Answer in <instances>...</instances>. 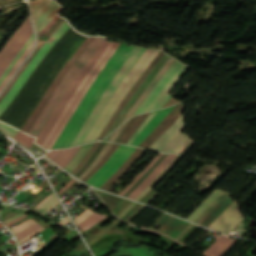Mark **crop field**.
I'll return each mask as SVG.
<instances>
[{
  "mask_svg": "<svg viewBox=\"0 0 256 256\" xmlns=\"http://www.w3.org/2000/svg\"><path fill=\"white\" fill-rule=\"evenodd\" d=\"M112 42L106 41L105 38L93 53L55 107L35 143L46 149H51L87 89L118 47V44Z\"/></svg>",
  "mask_w": 256,
  "mask_h": 256,
  "instance_id": "8a807250",
  "label": "crop field"
},
{
  "mask_svg": "<svg viewBox=\"0 0 256 256\" xmlns=\"http://www.w3.org/2000/svg\"><path fill=\"white\" fill-rule=\"evenodd\" d=\"M103 39V37L99 36L86 38L54 79L30 117L21 127V130L37 137L49 115L74 77Z\"/></svg>",
  "mask_w": 256,
  "mask_h": 256,
  "instance_id": "ac0d7876",
  "label": "crop field"
},
{
  "mask_svg": "<svg viewBox=\"0 0 256 256\" xmlns=\"http://www.w3.org/2000/svg\"><path fill=\"white\" fill-rule=\"evenodd\" d=\"M160 51L147 49L119 88L116 90L112 98L107 103L106 107L104 108L103 112L99 116L95 126L87 135L84 143L93 142L97 140L99 134L102 132L104 127L106 126L107 122L111 118L112 114L116 110L119 103L122 101L124 96L133 86V84L137 81L143 71L147 68V66L152 62V60L157 56Z\"/></svg>",
  "mask_w": 256,
  "mask_h": 256,
  "instance_id": "34b2d1b8",
  "label": "crop field"
},
{
  "mask_svg": "<svg viewBox=\"0 0 256 256\" xmlns=\"http://www.w3.org/2000/svg\"><path fill=\"white\" fill-rule=\"evenodd\" d=\"M127 47L128 46L126 44H121L120 47L116 50V52L113 54V56L110 58V60L107 62V64L104 66V68L101 70V72L99 73L95 81L92 83L90 88L88 89L85 97L81 101L80 105L74 112L73 116L71 117L67 125L64 127L61 135L59 136V138L57 139L56 143L52 148H63L73 128L78 123L80 117L82 116V114L90 104L91 100L99 90L105 78L115 67V65L117 64L118 60L120 59L124 51L127 49Z\"/></svg>",
  "mask_w": 256,
  "mask_h": 256,
  "instance_id": "412701ff",
  "label": "crop field"
},
{
  "mask_svg": "<svg viewBox=\"0 0 256 256\" xmlns=\"http://www.w3.org/2000/svg\"><path fill=\"white\" fill-rule=\"evenodd\" d=\"M146 49L143 48H135V50L132 52L130 57L127 59L125 64L122 66L120 71L117 73L115 78L112 80V82L107 87L106 91L102 95L101 99L97 103L96 107L94 108L93 112L87 119L86 123L78 133L77 137L75 138L74 142L72 143V146L82 144L83 140L85 139L88 132L91 130V128L94 126L98 116L102 112L103 108L105 107L106 103L110 99V97L113 95L115 90L118 88V86L121 84L123 79L126 77V75L130 72V70L133 68V66L136 64V62L139 60V58L142 56V54L145 52Z\"/></svg>",
  "mask_w": 256,
  "mask_h": 256,
  "instance_id": "f4fd0767",
  "label": "crop field"
},
{
  "mask_svg": "<svg viewBox=\"0 0 256 256\" xmlns=\"http://www.w3.org/2000/svg\"><path fill=\"white\" fill-rule=\"evenodd\" d=\"M71 27V26H70ZM66 20L63 24L56 30V32L48 39V41L41 47L40 51L31 60L29 65L26 67L24 72L6 94L4 99L0 102V115L6 110L12 100L15 98L19 90L25 84L27 79L30 77L35 68L40 64L44 57L49 53V51L54 47V45L60 40V38L66 33L70 28Z\"/></svg>",
  "mask_w": 256,
  "mask_h": 256,
  "instance_id": "dd49c442",
  "label": "crop field"
},
{
  "mask_svg": "<svg viewBox=\"0 0 256 256\" xmlns=\"http://www.w3.org/2000/svg\"><path fill=\"white\" fill-rule=\"evenodd\" d=\"M184 67L185 65L176 60V62L168 69L158 84L154 87L142 105L138 108L135 114L161 108L170 97V95L166 93L184 73L181 71Z\"/></svg>",
  "mask_w": 256,
  "mask_h": 256,
  "instance_id": "e52e79f7",
  "label": "crop field"
},
{
  "mask_svg": "<svg viewBox=\"0 0 256 256\" xmlns=\"http://www.w3.org/2000/svg\"><path fill=\"white\" fill-rule=\"evenodd\" d=\"M33 33L30 18L15 32L6 46L0 52V75L24 46Z\"/></svg>",
  "mask_w": 256,
  "mask_h": 256,
  "instance_id": "d8731c3e",
  "label": "crop field"
},
{
  "mask_svg": "<svg viewBox=\"0 0 256 256\" xmlns=\"http://www.w3.org/2000/svg\"><path fill=\"white\" fill-rule=\"evenodd\" d=\"M242 219L239 207L234 202L208 228L228 235Z\"/></svg>",
  "mask_w": 256,
  "mask_h": 256,
  "instance_id": "5a996713",
  "label": "crop field"
},
{
  "mask_svg": "<svg viewBox=\"0 0 256 256\" xmlns=\"http://www.w3.org/2000/svg\"><path fill=\"white\" fill-rule=\"evenodd\" d=\"M134 49V47L129 46V48L126 50V52L124 53L123 57L121 58V60L119 61V63L116 65V67L114 68V70L112 71V73L109 75V77L107 78V80L105 81V83L102 85V87L100 88V90L98 91V93L96 94V96L94 97L93 101L91 102V104L89 105V107L87 108V110L85 111L84 115L82 116V118L80 119L79 123L77 124V126L75 127L74 131L72 132L70 138L68 139L67 143L65 144L64 148L66 147H70L74 137L76 136V134L79 132V130L81 129L82 125L84 124V122L86 121L87 117L89 116L90 112L92 111L93 107L95 106V104L98 102L99 98L101 97V95L103 94L104 90L106 89V87L108 86V84L110 83V81L112 80V78L114 77V75L117 73V71L119 70V68L122 66V64L124 63V61L126 60V58L129 56V54L131 53V51Z\"/></svg>",
  "mask_w": 256,
  "mask_h": 256,
  "instance_id": "3316defc",
  "label": "crop field"
},
{
  "mask_svg": "<svg viewBox=\"0 0 256 256\" xmlns=\"http://www.w3.org/2000/svg\"><path fill=\"white\" fill-rule=\"evenodd\" d=\"M162 51L159 53V55L153 60V62L148 66V68L145 70V72L142 74V76L139 78V80L136 82L134 87L131 89V91L128 93V95L124 98V100L121 102V104L118 106L116 112L114 113L113 117L111 118L109 124L106 126V128L103 130L101 136L98 138L102 139L104 138L105 134L117 118V116L120 114V112L123 110L127 102L130 100V98L133 96V94L136 92V90L139 88V86L144 82V80L147 78V76L150 74L152 69L154 68L155 64L160 60V58L164 55Z\"/></svg>",
  "mask_w": 256,
  "mask_h": 256,
  "instance_id": "28ad6ade",
  "label": "crop field"
},
{
  "mask_svg": "<svg viewBox=\"0 0 256 256\" xmlns=\"http://www.w3.org/2000/svg\"><path fill=\"white\" fill-rule=\"evenodd\" d=\"M185 104L179 103L173 111L153 130L149 136L142 142L141 147L148 148L181 114Z\"/></svg>",
  "mask_w": 256,
  "mask_h": 256,
  "instance_id": "d1516ede",
  "label": "crop field"
},
{
  "mask_svg": "<svg viewBox=\"0 0 256 256\" xmlns=\"http://www.w3.org/2000/svg\"><path fill=\"white\" fill-rule=\"evenodd\" d=\"M186 125L181 115L150 147L154 151H161Z\"/></svg>",
  "mask_w": 256,
  "mask_h": 256,
  "instance_id": "22f410ed",
  "label": "crop field"
},
{
  "mask_svg": "<svg viewBox=\"0 0 256 256\" xmlns=\"http://www.w3.org/2000/svg\"><path fill=\"white\" fill-rule=\"evenodd\" d=\"M170 58V56L166 55L162 58V60L156 65V67L153 69V71L151 72V74L148 76V78L146 79V81L143 83V85L138 89V91L134 94V96L132 97V99L129 101V103L127 104V106L124 108V110L122 111V113L119 115V117L117 118V120L115 121V123L112 125V127L110 128V130L108 131L107 135L116 127H118L121 119L123 118V116L125 115V113L128 111V109L133 105V103L138 99V97L141 95V93L144 91V89L146 88V86L149 84V82L152 80V78L155 76V74L160 70V68L167 62V60ZM157 75V74H156ZM154 79V78H153ZM106 135V136H107Z\"/></svg>",
  "mask_w": 256,
  "mask_h": 256,
  "instance_id": "cbeb9de0",
  "label": "crop field"
},
{
  "mask_svg": "<svg viewBox=\"0 0 256 256\" xmlns=\"http://www.w3.org/2000/svg\"><path fill=\"white\" fill-rule=\"evenodd\" d=\"M175 105L160 110L148 123L147 125L141 130L135 140L132 142V145L139 146L140 143L146 138V136L156 128L160 122L170 113Z\"/></svg>",
  "mask_w": 256,
  "mask_h": 256,
  "instance_id": "5142ce71",
  "label": "crop field"
},
{
  "mask_svg": "<svg viewBox=\"0 0 256 256\" xmlns=\"http://www.w3.org/2000/svg\"><path fill=\"white\" fill-rule=\"evenodd\" d=\"M174 61H175V59H173L171 57L168 60V62L161 68V70L157 73V75L154 77V79L151 81V83L145 89V91L140 96V98L136 101V103L133 105V107L130 109V111L127 113V115L124 117L122 122H124L127 118H129L133 115V113L136 111V109L141 105V103L144 101V99L147 97V95L150 93V91L153 89V87L156 85V83L159 81V79L162 77V75L174 63Z\"/></svg>",
  "mask_w": 256,
  "mask_h": 256,
  "instance_id": "d9b57169",
  "label": "crop field"
},
{
  "mask_svg": "<svg viewBox=\"0 0 256 256\" xmlns=\"http://www.w3.org/2000/svg\"><path fill=\"white\" fill-rule=\"evenodd\" d=\"M225 194L223 198L198 222L207 227L212 221H214L233 201Z\"/></svg>",
  "mask_w": 256,
  "mask_h": 256,
  "instance_id": "733c2abd",
  "label": "crop field"
},
{
  "mask_svg": "<svg viewBox=\"0 0 256 256\" xmlns=\"http://www.w3.org/2000/svg\"><path fill=\"white\" fill-rule=\"evenodd\" d=\"M144 151V149L137 148L124 165L107 182H105L100 189L107 191L133 165Z\"/></svg>",
  "mask_w": 256,
  "mask_h": 256,
  "instance_id": "4a817a6b",
  "label": "crop field"
},
{
  "mask_svg": "<svg viewBox=\"0 0 256 256\" xmlns=\"http://www.w3.org/2000/svg\"><path fill=\"white\" fill-rule=\"evenodd\" d=\"M149 113H145V114H142V115H138V116L132 117L131 120L126 125V127L121 132V134L119 135V137L116 139V142H120V143L126 144L127 141L133 135V133L136 131V129L139 127V125L149 115Z\"/></svg>",
  "mask_w": 256,
  "mask_h": 256,
  "instance_id": "bc2a9ffb",
  "label": "crop field"
},
{
  "mask_svg": "<svg viewBox=\"0 0 256 256\" xmlns=\"http://www.w3.org/2000/svg\"><path fill=\"white\" fill-rule=\"evenodd\" d=\"M135 149V147L128 146L121 157L92 186L99 188L129 158Z\"/></svg>",
  "mask_w": 256,
  "mask_h": 256,
  "instance_id": "214f88e0",
  "label": "crop field"
},
{
  "mask_svg": "<svg viewBox=\"0 0 256 256\" xmlns=\"http://www.w3.org/2000/svg\"><path fill=\"white\" fill-rule=\"evenodd\" d=\"M79 148L80 146L71 149L51 150L46 154V157H48L63 168L70 161V159L74 156Z\"/></svg>",
  "mask_w": 256,
  "mask_h": 256,
  "instance_id": "92a150f3",
  "label": "crop field"
},
{
  "mask_svg": "<svg viewBox=\"0 0 256 256\" xmlns=\"http://www.w3.org/2000/svg\"><path fill=\"white\" fill-rule=\"evenodd\" d=\"M234 241V239H229L221 235L210 247H208L201 254L204 256H220L233 244Z\"/></svg>",
  "mask_w": 256,
  "mask_h": 256,
  "instance_id": "dafd665d",
  "label": "crop field"
},
{
  "mask_svg": "<svg viewBox=\"0 0 256 256\" xmlns=\"http://www.w3.org/2000/svg\"><path fill=\"white\" fill-rule=\"evenodd\" d=\"M181 221L182 219L165 213L155 224L150 227V229L162 231L168 235L170 231ZM154 227H159L160 229H155Z\"/></svg>",
  "mask_w": 256,
  "mask_h": 256,
  "instance_id": "00972430",
  "label": "crop field"
},
{
  "mask_svg": "<svg viewBox=\"0 0 256 256\" xmlns=\"http://www.w3.org/2000/svg\"><path fill=\"white\" fill-rule=\"evenodd\" d=\"M127 148L126 145L120 144V146L117 148V150L114 152V154L111 156V158L97 171L95 172L87 181L86 183L92 184L95 180H97L118 158L119 156L124 152V150Z\"/></svg>",
  "mask_w": 256,
  "mask_h": 256,
  "instance_id": "a9b5d70f",
  "label": "crop field"
},
{
  "mask_svg": "<svg viewBox=\"0 0 256 256\" xmlns=\"http://www.w3.org/2000/svg\"><path fill=\"white\" fill-rule=\"evenodd\" d=\"M92 145L93 143L81 146V148L72 158V160L64 167V169L71 173L76 168V166L81 162V160L85 157L86 153Z\"/></svg>",
  "mask_w": 256,
  "mask_h": 256,
  "instance_id": "4177f3b9",
  "label": "crop field"
},
{
  "mask_svg": "<svg viewBox=\"0 0 256 256\" xmlns=\"http://www.w3.org/2000/svg\"><path fill=\"white\" fill-rule=\"evenodd\" d=\"M188 138L189 136L180 132L162 151L175 153Z\"/></svg>",
  "mask_w": 256,
  "mask_h": 256,
  "instance_id": "730fd06b",
  "label": "crop field"
},
{
  "mask_svg": "<svg viewBox=\"0 0 256 256\" xmlns=\"http://www.w3.org/2000/svg\"><path fill=\"white\" fill-rule=\"evenodd\" d=\"M222 191H213L205 201L187 218V220L193 221Z\"/></svg>",
  "mask_w": 256,
  "mask_h": 256,
  "instance_id": "eef30255",
  "label": "crop field"
},
{
  "mask_svg": "<svg viewBox=\"0 0 256 256\" xmlns=\"http://www.w3.org/2000/svg\"><path fill=\"white\" fill-rule=\"evenodd\" d=\"M107 215H102L99 213L94 212L89 218L83 221L81 224L78 225L79 228L82 230H87L88 228L92 227L102 219H104Z\"/></svg>",
  "mask_w": 256,
  "mask_h": 256,
  "instance_id": "ae1a2a85",
  "label": "crop field"
},
{
  "mask_svg": "<svg viewBox=\"0 0 256 256\" xmlns=\"http://www.w3.org/2000/svg\"><path fill=\"white\" fill-rule=\"evenodd\" d=\"M181 156L182 155H178L136 200L139 201L172 168Z\"/></svg>",
  "mask_w": 256,
  "mask_h": 256,
  "instance_id": "d3111659",
  "label": "crop field"
},
{
  "mask_svg": "<svg viewBox=\"0 0 256 256\" xmlns=\"http://www.w3.org/2000/svg\"><path fill=\"white\" fill-rule=\"evenodd\" d=\"M101 197L112 211L124 200L123 198L109 194L107 192H105Z\"/></svg>",
  "mask_w": 256,
  "mask_h": 256,
  "instance_id": "750c4746",
  "label": "crop field"
},
{
  "mask_svg": "<svg viewBox=\"0 0 256 256\" xmlns=\"http://www.w3.org/2000/svg\"><path fill=\"white\" fill-rule=\"evenodd\" d=\"M57 6L58 4L55 1L51 2L35 20L36 27H38L55 10Z\"/></svg>",
  "mask_w": 256,
  "mask_h": 256,
  "instance_id": "bd1437ed",
  "label": "crop field"
},
{
  "mask_svg": "<svg viewBox=\"0 0 256 256\" xmlns=\"http://www.w3.org/2000/svg\"><path fill=\"white\" fill-rule=\"evenodd\" d=\"M34 44V40L31 42V44L29 45V47L26 49L25 53L23 54V56L20 58V60L16 63V65L14 66V68L11 70V72L9 73V75L6 77V79L3 81V83L0 85V91H2L3 87L5 86V84L9 81V79L12 77L13 73L17 70V68L21 65V63L24 61V59L27 57V55L29 54V52L31 51L32 47Z\"/></svg>",
  "mask_w": 256,
  "mask_h": 256,
  "instance_id": "1d83c4d3",
  "label": "crop field"
},
{
  "mask_svg": "<svg viewBox=\"0 0 256 256\" xmlns=\"http://www.w3.org/2000/svg\"><path fill=\"white\" fill-rule=\"evenodd\" d=\"M119 144L113 143V145L110 147V149L107 151V153L104 155V157L99 161V163L95 166V168L82 180L86 181L96 170H98L101 165L109 159V157L112 155V153L115 151V149L118 147Z\"/></svg>",
  "mask_w": 256,
  "mask_h": 256,
  "instance_id": "120bbe31",
  "label": "crop field"
},
{
  "mask_svg": "<svg viewBox=\"0 0 256 256\" xmlns=\"http://www.w3.org/2000/svg\"><path fill=\"white\" fill-rule=\"evenodd\" d=\"M34 35H32L30 37V39L28 40V42L25 44V46L22 48V50L18 53V55L14 58V60L10 63V65L7 67V69L5 70V72L2 74V76L0 77V84L1 82L4 80V78L7 76V74L10 72V70L12 69V67L15 65V63L18 61V59L22 56L23 52L25 51V49L27 48V46L30 44V42L33 40Z\"/></svg>",
  "mask_w": 256,
  "mask_h": 256,
  "instance_id": "d32e631a",
  "label": "crop field"
},
{
  "mask_svg": "<svg viewBox=\"0 0 256 256\" xmlns=\"http://www.w3.org/2000/svg\"><path fill=\"white\" fill-rule=\"evenodd\" d=\"M163 153H159L154 160L120 193V195H124L148 170L149 168L159 159V157Z\"/></svg>",
  "mask_w": 256,
  "mask_h": 256,
  "instance_id": "5866460e",
  "label": "crop field"
},
{
  "mask_svg": "<svg viewBox=\"0 0 256 256\" xmlns=\"http://www.w3.org/2000/svg\"><path fill=\"white\" fill-rule=\"evenodd\" d=\"M45 43V41L40 40L38 42L37 48L34 51V53L31 55V57L28 59V61L25 63V65L23 66V68L20 70V72L17 74V76L14 78V80L10 83V85L6 88V90L3 92V94L0 96V101L1 99L4 97V95L8 92V90L11 88V86L13 85V83L16 81V79L19 77V75L22 73V71L25 69V67L27 66V64L30 62V60L34 57V55L39 51L40 47Z\"/></svg>",
  "mask_w": 256,
  "mask_h": 256,
  "instance_id": "028f5c9d",
  "label": "crop field"
},
{
  "mask_svg": "<svg viewBox=\"0 0 256 256\" xmlns=\"http://www.w3.org/2000/svg\"><path fill=\"white\" fill-rule=\"evenodd\" d=\"M171 156L172 155L169 154L128 197L131 198L138 190H140Z\"/></svg>",
  "mask_w": 256,
  "mask_h": 256,
  "instance_id": "e1f06a70",
  "label": "crop field"
},
{
  "mask_svg": "<svg viewBox=\"0 0 256 256\" xmlns=\"http://www.w3.org/2000/svg\"><path fill=\"white\" fill-rule=\"evenodd\" d=\"M112 143L107 142L105 147L102 149L98 157L95 159V161L90 165V167L79 177V179H83L92 169L93 167L97 164V162L102 158V156L106 153V151L109 149Z\"/></svg>",
  "mask_w": 256,
  "mask_h": 256,
  "instance_id": "0bd39190",
  "label": "crop field"
},
{
  "mask_svg": "<svg viewBox=\"0 0 256 256\" xmlns=\"http://www.w3.org/2000/svg\"><path fill=\"white\" fill-rule=\"evenodd\" d=\"M106 142H101V144L99 145V147L97 148V150L95 151V153L93 154V156L90 158V160L86 163V165L78 172L76 173L74 176H76L77 178L88 168V166L93 162V160L97 157V155L99 154V152L101 151V149L103 148V146L105 145Z\"/></svg>",
  "mask_w": 256,
  "mask_h": 256,
  "instance_id": "b80d0937",
  "label": "crop field"
},
{
  "mask_svg": "<svg viewBox=\"0 0 256 256\" xmlns=\"http://www.w3.org/2000/svg\"><path fill=\"white\" fill-rule=\"evenodd\" d=\"M167 155V153H164L154 166L124 196L127 197Z\"/></svg>",
  "mask_w": 256,
  "mask_h": 256,
  "instance_id": "c035e120",
  "label": "crop field"
},
{
  "mask_svg": "<svg viewBox=\"0 0 256 256\" xmlns=\"http://www.w3.org/2000/svg\"><path fill=\"white\" fill-rule=\"evenodd\" d=\"M177 155H173L167 162L166 164L149 180V182L139 191L137 192L132 199H136L140 193L160 174V172L176 157Z\"/></svg>",
  "mask_w": 256,
  "mask_h": 256,
  "instance_id": "c21b1889",
  "label": "crop field"
},
{
  "mask_svg": "<svg viewBox=\"0 0 256 256\" xmlns=\"http://www.w3.org/2000/svg\"><path fill=\"white\" fill-rule=\"evenodd\" d=\"M100 142H96L94 143V145L92 146V148L89 150V152L87 153L86 157L82 160V162L77 166V168L71 173V174H75L77 171H79L84 165L85 163L89 160L91 154L93 153V151L96 149V147L99 145Z\"/></svg>",
  "mask_w": 256,
  "mask_h": 256,
  "instance_id": "03da06ac",
  "label": "crop field"
},
{
  "mask_svg": "<svg viewBox=\"0 0 256 256\" xmlns=\"http://www.w3.org/2000/svg\"><path fill=\"white\" fill-rule=\"evenodd\" d=\"M64 7L59 6L38 28L39 33Z\"/></svg>",
  "mask_w": 256,
  "mask_h": 256,
  "instance_id": "b54c1fbb",
  "label": "crop field"
},
{
  "mask_svg": "<svg viewBox=\"0 0 256 256\" xmlns=\"http://www.w3.org/2000/svg\"><path fill=\"white\" fill-rule=\"evenodd\" d=\"M39 227H41V225H39L38 223L34 224L33 226L25 229L24 231H22L21 233H19L18 235H16L17 240H20L24 237H26L27 235H29L30 233H32L33 231H35L36 229H38Z\"/></svg>",
  "mask_w": 256,
  "mask_h": 256,
  "instance_id": "5d738f31",
  "label": "crop field"
},
{
  "mask_svg": "<svg viewBox=\"0 0 256 256\" xmlns=\"http://www.w3.org/2000/svg\"><path fill=\"white\" fill-rule=\"evenodd\" d=\"M34 223H36V222L34 220L30 219V220H28V221L18 225L17 227H15V228H13L11 230L14 232V234H17L20 231L24 230L25 228H27L28 226H30V225H32Z\"/></svg>",
  "mask_w": 256,
  "mask_h": 256,
  "instance_id": "d23c7cc5",
  "label": "crop field"
},
{
  "mask_svg": "<svg viewBox=\"0 0 256 256\" xmlns=\"http://www.w3.org/2000/svg\"><path fill=\"white\" fill-rule=\"evenodd\" d=\"M226 192H222L204 211L203 213L194 221L197 223L214 205L215 203L225 194Z\"/></svg>",
  "mask_w": 256,
  "mask_h": 256,
  "instance_id": "425ffa30",
  "label": "crop field"
},
{
  "mask_svg": "<svg viewBox=\"0 0 256 256\" xmlns=\"http://www.w3.org/2000/svg\"><path fill=\"white\" fill-rule=\"evenodd\" d=\"M0 127L10 136H14L19 130L0 122Z\"/></svg>",
  "mask_w": 256,
  "mask_h": 256,
  "instance_id": "25e5ab78",
  "label": "crop field"
},
{
  "mask_svg": "<svg viewBox=\"0 0 256 256\" xmlns=\"http://www.w3.org/2000/svg\"><path fill=\"white\" fill-rule=\"evenodd\" d=\"M159 110L152 111L151 114L148 116V118L144 121V123L141 125V127L137 130V132L133 135V137L128 141V145L131 143V141L136 137V135L140 132V130L146 125V123L158 112Z\"/></svg>",
  "mask_w": 256,
  "mask_h": 256,
  "instance_id": "73cf0c24",
  "label": "crop field"
},
{
  "mask_svg": "<svg viewBox=\"0 0 256 256\" xmlns=\"http://www.w3.org/2000/svg\"><path fill=\"white\" fill-rule=\"evenodd\" d=\"M93 212L90 210H86L84 211L81 215H79L78 217H76V219L74 220L76 222V224L78 225L83 219L89 217Z\"/></svg>",
  "mask_w": 256,
  "mask_h": 256,
  "instance_id": "89e229c0",
  "label": "crop field"
},
{
  "mask_svg": "<svg viewBox=\"0 0 256 256\" xmlns=\"http://www.w3.org/2000/svg\"><path fill=\"white\" fill-rule=\"evenodd\" d=\"M57 199H56V197H55V195L53 196V197H51L44 205H42L38 210H37V212L38 213H42L50 204H52L54 201H56ZM36 212V213H37Z\"/></svg>",
  "mask_w": 256,
  "mask_h": 256,
  "instance_id": "1f2cbd36",
  "label": "crop field"
},
{
  "mask_svg": "<svg viewBox=\"0 0 256 256\" xmlns=\"http://www.w3.org/2000/svg\"><path fill=\"white\" fill-rule=\"evenodd\" d=\"M51 0H44L38 8L33 12V18L37 17L41 10L50 2Z\"/></svg>",
  "mask_w": 256,
  "mask_h": 256,
  "instance_id": "dbb93151",
  "label": "crop field"
},
{
  "mask_svg": "<svg viewBox=\"0 0 256 256\" xmlns=\"http://www.w3.org/2000/svg\"><path fill=\"white\" fill-rule=\"evenodd\" d=\"M130 120V119H129ZM128 120V121H129ZM127 121V122H128ZM127 122H125L121 127H119L114 133H113V135L110 137V139L109 140H111V141H115V139L117 138V136L119 135V133L121 132V130L124 128V126L127 124Z\"/></svg>",
  "mask_w": 256,
  "mask_h": 256,
  "instance_id": "0fb4a251",
  "label": "crop field"
},
{
  "mask_svg": "<svg viewBox=\"0 0 256 256\" xmlns=\"http://www.w3.org/2000/svg\"><path fill=\"white\" fill-rule=\"evenodd\" d=\"M45 228H40L38 230H36L35 232H33L32 234H30L29 236H27L26 238H24L23 240L19 241V245L22 244L23 242L27 241L28 239H30L31 237L35 236L36 234H38L40 231H42Z\"/></svg>",
  "mask_w": 256,
  "mask_h": 256,
  "instance_id": "1d79db26",
  "label": "crop field"
},
{
  "mask_svg": "<svg viewBox=\"0 0 256 256\" xmlns=\"http://www.w3.org/2000/svg\"><path fill=\"white\" fill-rule=\"evenodd\" d=\"M193 224H189L175 239L179 240L191 227Z\"/></svg>",
  "mask_w": 256,
  "mask_h": 256,
  "instance_id": "9d1cf04e",
  "label": "crop field"
},
{
  "mask_svg": "<svg viewBox=\"0 0 256 256\" xmlns=\"http://www.w3.org/2000/svg\"><path fill=\"white\" fill-rule=\"evenodd\" d=\"M135 204H136L135 202L131 203L126 209H124V210L120 213L119 217H122L124 214H126Z\"/></svg>",
  "mask_w": 256,
  "mask_h": 256,
  "instance_id": "447ae74e",
  "label": "crop field"
},
{
  "mask_svg": "<svg viewBox=\"0 0 256 256\" xmlns=\"http://www.w3.org/2000/svg\"><path fill=\"white\" fill-rule=\"evenodd\" d=\"M177 102H179V101H177V100H175L174 98L171 97V98L168 100V102L163 106V108L166 107V106H168V105L175 104V103H177Z\"/></svg>",
  "mask_w": 256,
  "mask_h": 256,
  "instance_id": "0765c3eb",
  "label": "crop field"
},
{
  "mask_svg": "<svg viewBox=\"0 0 256 256\" xmlns=\"http://www.w3.org/2000/svg\"><path fill=\"white\" fill-rule=\"evenodd\" d=\"M59 202L58 200L54 202L51 206H49L43 213L42 215L46 214L48 211H50L55 205H57Z\"/></svg>",
  "mask_w": 256,
  "mask_h": 256,
  "instance_id": "db79e9e6",
  "label": "crop field"
},
{
  "mask_svg": "<svg viewBox=\"0 0 256 256\" xmlns=\"http://www.w3.org/2000/svg\"><path fill=\"white\" fill-rule=\"evenodd\" d=\"M70 220H69V218H68V216L67 217H65L63 220H61L58 224H60V225H65L66 223H68Z\"/></svg>",
  "mask_w": 256,
  "mask_h": 256,
  "instance_id": "7b73153f",
  "label": "crop field"
},
{
  "mask_svg": "<svg viewBox=\"0 0 256 256\" xmlns=\"http://www.w3.org/2000/svg\"><path fill=\"white\" fill-rule=\"evenodd\" d=\"M53 194H51L49 197H47L43 202H41L36 208L33 209V211H35L36 209H38L44 202H46L51 196H53Z\"/></svg>",
  "mask_w": 256,
  "mask_h": 256,
  "instance_id": "78b8030e",
  "label": "crop field"
},
{
  "mask_svg": "<svg viewBox=\"0 0 256 256\" xmlns=\"http://www.w3.org/2000/svg\"><path fill=\"white\" fill-rule=\"evenodd\" d=\"M190 141L191 139H189L183 146H181L176 153H179Z\"/></svg>",
  "mask_w": 256,
  "mask_h": 256,
  "instance_id": "0f1d7ab4",
  "label": "crop field"
},
{
  "mask_svg": "<svg viewBox=\"0 0 256 256\" xmlns=\"http://www.w3.org/2000/svg\"><path fill=\"white\" fill-rule=\"evenodd\" d=\"M21 215H23V214H19V215L15 216V217H12V218H10V219L4 221V224L8 223L9 221H11V220H13V219H15V218H17V217H19V216H21Z\"/></svg>",
  "mask_w": 256,
  "mask_h": 256,
  "instance_id": "e1d0b9f6",
  "label": "crop field"
},
{
  "mask_svg": "<svg viewBox=\"0 0 256 256\" xmlns=\"http://www.w3.org/2000/svg\"><path fill=\"white\" fill-rule=\"evenodd\" d=\"M110 136H111V135H110ZM110 136H109V137H110ZM109 137H107V138H105V139H103V140H108Z\"/></svg>",
  "mask_w": 256,
  "mask_h": 256,
  "instance_id": "ae633e8c",
  "label": "crop field"
}]
</instances>
